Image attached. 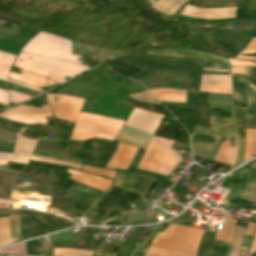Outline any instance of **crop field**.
I'll return each mask as SVG.
<instances>
[{
    "instance_id": "1",
    "label": "crop field",
    "mask_w": 256,
    "mask_h": 256,
    "mask_svg": "<svg viewBox=\"0 0 256 256\" xmlns=\"http://www.w3.org/2000/svg\"><path fill=\"white\" fill-rule=\"evenodd\" d=\"M236 221L224 219L222 231H217L215 239L231 241ZM204 231L172 225L157 234L150 246L196 253ZM216 230L206 229L197 256H209Z\"/></svg>"
},
{
    "instance_id": "2",
    "label": "crop field",
    "mask_w": 256,
    "mask_h": 256,
    "mask_svg": "<svg viewBox=\"0 0 256 256\" xmlns=\"http://www.w3.org/2000/svg\"><path fill=\"white\" fill-rule=\"evenodd\" d=\"M118 76L119 75L112 76L108 72L97 67L81 75L77 79L69 82L56 93L72 96L100 98L123 93L138 92L116 82ZM112 85L118 89H114Z\"/></svg>"
},
{
    "instance_id": "3",
    "label": "crop field",
    "mask_w": 256,
    "mask_h": 256,
    "mask_svg": "<svg viewBox=\"0 0 256 256\" xmlns=\"http://www.w3.org/2000/svg\"><path fill=\"white\" fill-rule=\"evenodd\" d=\"M28 57H32L33 59L30 60ZM28 66L32 68L29 69L27 68ZM14 67L42 75L59 83L65 81L64 77L72 78L73 76L88 69L87 67L64 61L42 58L23 53H20L18 56Z\"/></svg>"
},
{
    "instance_id": "4",
    "label": "crop field",
    "mask_w": 256,
    "mask_h": 256,
    "mask_svg": "<svg viewBox=\"0 0 256 256\" xmlns=\"http://www.w3.org/2000/svg\"><path fill=\"white\" fill-rule=\"evenodd\" d=\"M172 142L153 136L137 168L168 176L183 158L170 148Z\"/></svg>"
},
{
    "instance_id": "5",
    "label": "crop field",
    "mask_w": 256,
    "mask_h": 256,
    "mask_svg": "<svg viewBox=\"0 0 256 256\" xmlns=\"http://www.w3.org/2000/svg\"><path fill=\"white\" fill-rule=\"evenodd\" d=\"M22 52L70 61L81 64L77 56L71 55V42L45 32L40 31L27 45L21 49Z\"/></svg>"
},
{
    "instance_id": "6",
    "label": "crop field",
    "mask_w": 256,
    "mask_h": 256,
    "mask_svg": "<svg viewBox=\"0 0 256 256\" xmlns=\"http://www.w3.org/2000/svg\"><path fill=\"white\" fill-rule=\"evenodd\" d=\"M210 124L233 126L231 119L215 116H212ZM223 136L235 138L234 129L211 126L209 133L193 132V137L191 139L193 155L213 159Z\"/></svg>"
},
{
    "instance_id": "7",
    "label": "crop field",
    "mask_w": 256,
    "mask_h": 256,
    "mask_svg": "<svg viewBox=\"0 0 256 256\" xmlns=\"http://www.w3.org/2000/svg\"><path fill=\"white\" fill-rule=\"evenodd\" d=\"M246 78L232 76L234 124L237 140H245L246 122ZM255 130L246 129V146L244 161L252 158Z\"/></svg>"
},
{
    "instance_id": "8",
    "label": "crop field",
    "mask_w": 256,
    "mask_h": 256,
    "mask_svg": "<svg viewBox=\"0 0 256 256\" xmlns=\"http://www.w3.org/2000/svg\"><path fill=\"white\" fill-rule=\"evenodd\" d=\"M53 96H58L56 103L53 101ZM59 97H61V100H59ZM48 99L56 119L75 123L84 99L55 94H49Z\"/></svg>"
},
{
    "instance_id": "9",
    "label": "crop field",
    "mask_w": 256,
    "mask_h": 256,
    "mask_svg": "<svg viewBox=\"0 0 256 256\" xmlns=\"http://www.w3.org/2000/svg\"><path fill=\"white\" fill-rule=\"evenodd\" d=\"M0 117L30 125H33L34 123L45 125L46 117L52 116L48 106H42L41 109H38L34 107L21 105L16 108L8 109L0 113Z\"/></svg>"
},
{
    "instance_id": "10",
    "label": "crop field",
    "mask_w": 256,
    "mask_h": 256,
    "mask_svg": "<svg viewBox=\"0 0 256 256\" xmlns=\"http://www.w3.org/2000/svg\"><path fill=\"white\" fill-rule=\"evenodd\" d=\"M251 162L224 178L221 186L229 189L224 197L228 202L227 205H237L248 177Z\"/></svg>"
},
{
    "instance_id": "11",
    "label": "crop field",
    "mask_w": 256,
    "mask_h": 256,
    "mask_svg": "<svg viewBox=\"0 0 256 256\" xmlns=\"http://www.w3.org/2000/svg\"><path fill=\"white\" fill-rule=\"evenodd\" d=\"M147 54L152 55H164V56H175V57H187V58H193V57H199L204 58V67L208 68H219V69H227L228 60L225 58H220L215 55H211L208 53H202V52H194V51H186V50H180V49H163L158 51H150L146 52ZM205 68V69H208ZM214 69V70H219ZM228 72V69H227Z\"/></svg>"
},
{
    "instance_id": "12",
    "label": "crop field",
    "mask_w": 256,
    "mask_h": 256,
    "mask_svg": "<svg viewBox=\"0 0 256 256\" xmlns=\"http://www.w3.org/2000/svg\"><path fill=\"white\" fill-rule=\"evenodd\" d=\"M163 117L164 115L135 108L128 118L126 126L154 135Z\"/></svg>"
},
{
    "instance_id": "13",
    "label": "crop field",
    "mask_w": 256,
    "mask_h": 256,
    "mask_svg": "<svg viewBox=\"0 0 256 256\" xmlns=\"http://www.w3.org/2000/svg\"><path fill=\"white\" fill-rule=\"evenodd\" d=\"M142 195L134 194L125 190H122L120 188L111 186L110 189L105 192L104 194L98 196L95 203L91 206V208L95 210H99L102 208H105L103 204L99 203L98 201L107 204V205H113L118 206L122 203L130 204L132 205L129 200L132 202H137L138 200L136 198H141ZM129 199V200H128Z\"/></svg>"
},
{
    "instance_id": "14",
    "label": "crop field",
    "mask_w": 256,
    "mask_h": 256,
    "mask_svg": "<svg viewBox=\"0 0 256 256\" xmlns=\"http://www.w3.org/2000/svg\"><path fill=\"white\" fill-rule=\"evenodd\" d=\"M153 181V178L137 174L119 172L114 185L144 195Z\"/></svg>"
},
{
    "instance_id": "15",
    "label": "crop field",
    "mask_w": 256,
    "mask_h": 256,
    "mask_svg": "<svg viewBox=\"0 0 256 256\" xmlns=\"http://www.w3.org/2000/svg\"><path fill=\"white\" fill-rule=\"evenodd\" d=\"M236 7L219 9H198L187 5L182 15L202 19H223L235 17Z\"/></svg>"
},
{
    "instance_id": "16",
    "label": "crop field",
    "mask_w": 256,
    "mask_h": 256,
    "mask_svg": "<svg viewBox=\"0 0 256 256\" xmlns=\"http://www.w3.org/2000/svg\"><path fill=\"white\" fill-rule=\"evenodd\" d=\"M199 91L230 94L229 75H202Z\"/></svg>"
},
{
    "instance_id": "17",
    "label": "crop field",
    "mask_w": 256,
    "mask_h": 256,
    "mask_svg": "<svg viewBox=\"0 0 256 256\" xmlns=\"http://www.w3.org/2000/svg\"><path fill=\"white\" fill-rule=\"evenodd\" d=\"M151 138L152 135L124 126L120 133L115 137L114 141L146 149Z\"/></svg>"
},
{
    "instance_id": "18",
    "label": "crop field",
    "mask_w": 256,
    "mask_h": 256,
    "mask_svg": "<svg viewBox=\"0 0 256 256\" xmlns=\"http://www.w3.org/2000/svg\"><path fill=\"white\" fill-rule=\"evenodd\" d=\"M31 160L40 161V162H47V163H54V164H61V165H67V166H71L73 168H76L78 170H80V168L82 166V164L70 163V162H65V161H60V160H56V159L40 157V156H35V155L32 156ZM82 171L92 173V174L102 175V176L109 177V178H112V179L114 178L115 174L117 173V172H113V171H110V170H107V169L92 167V166H87V165H84Z\"/></svg>"
},
{
    "instance_id": "19",
    "label": "crop field",
    "mask_w": 256,
    "mask_h": 256,
    "mask_svg": "<svg viewBox=\"0 0 256 256\" xmlns=\"http://www.w3.org/2000/svg\"><path fill=\"white\" fill-rule=\"evenodd\" d=\"M37 141L16 137L12 162L27 164Z\"/></svg>"
},
{
    "instance_id": "20",
    "label": "crop field",
    "mask_w": 256,
    "mask_h": 256,
    "mask_svg": "<svg viewBox=\"0 0 256 256\" xmlns=\"http://www.w3.org/2000/svg\"><path fill=\"white\" fill-rule=\"evenodd\" d=\"M247 102L249 106L246 128L256 129V87L248 81ZM256 156V134L253 157Z\"/></svg>"
},
{
    "instance_id": "21",
    "label": "crop field",
    "mask_w": 256,
    "mask_h": 256,
    "mask_svg": "<svg viewBox=\"0 0 256 256\" xmlns=\"http://www.w3.org/2000/svg\"><path fill=\"white\" fill-rule=\"evenodd\" d=\"M151 92L158 101L185 103V90L152 89Z\"/></svg>"
},
{
    "instance_id": "22",
    "label": "crop field",
    "mask_w": 256,
    "mask_h": 256,
    "mask_svg": "<svg viewBox=\"0 0 256 256\" xmlns=\"http://www.w3.org/2000/svg\"><path fill=\"white\" fill-rule=\"evenodd\" d=\"M187 0H159L151 8L159 13L172 17L177 14Z\"/></svg>"
},
{
    "instance_id": "23",
    "label": "crop field",
    "mask_w": 256,
    "mask_h": 256,
    "mask_svg": "<svg viewBox=\"0 0 256 256\" xmlns=\"http://www.w3.org/2000/svg\"><path fill=\"white\" fill-rule=\"evenodd\" d=\"M20 73L22 75L11 73L9 78L20 81V82H23L25 84H28V85H31V86H34V87H37V88H41V87L49 86V85H52V84H56L55 82H53L51 80L46 81L45 78H41V77H38V76H35V75H32V74H28V73H25V72H22V71H20ZM47 83H49V85H47Z\"/></svg>"
},
{
    "instance_id": "24",
    "label": "crop field",
    "mask_w": 256,
    "mask_h": 256,
    "mask_svg": "<svg viewBox=\"0 0 256 256\" xmlns=\"http://www.w3.org/2000/svg\"><path fill=\"white\" fill-rule=\"evenodd\" d=\"M15 57L16 56L0 52V79L11 82L13 84L19 85V86L27 88V89L41 91V90L34 89V88L28 87L26 85H23V84H20V83H17V82L7 79V76L9 75V72H10V67H11Z\"/></svg>"
},
{
    "instance_id": "25",
    "label": "crop field",
    "mask_w": 256,
    "mask_h": 256,
    "mask_svg": "<svg viewBox=\"0 0 256 256\" xmlns=\"http://www.w3.org/2000/svg\"><path fill=\"white\" fill-rule=\"evenodd\" d=\"M246 185L256 187V160H254L252 163L249 178ZM248 186L245 187L242 199H245L256 205V188Z\"/></svg>"
},
{
    "instance_id": "26",
    "label": "crop field",
    "mask_w": 256,
    "mask_h": 256,
    "mask_svg": "<svg viewBox=\"0 0 256 256\" xmlns=\"http://www.w3.org/2000/svg\"><path fill=\"white\" fill-rule=\"evenodd\" d=\"M235 153L236 147H231L230 142L225 141L221 144L214 160L232 165Z\"/></svg>"
},
{
    "instance_id": "27",
    "label": "crop field",
    "mask_w": 256,
    "mask_h": 256,
    "mask_svg": "<svg viewBox=\"0 0 256 256\" xmlns=\"http://www.w3.org/2000/svg\"><path fill=\"white\" fill-rule=\"evenodd\" d=\"M9 227L12 243L21 241L20 216L9 215Z\"/></svg>"
},
{
    "instance_id": "28",
    "label": "crop field",
    "mask_w": 256,
    "mask_h": 256,
    "mask_svg": "<svg viewBox=\"0 0 256 256\" xmlns=\"http://www.w3.org/2000/svg\"><path fill=\"white\" fill-rule=\"evenodd\" d=\"M145 256H196V254L149 247Z\"/></svg>"
},
{
    "instance_id": "29",
    "label": "crop field",
    "mask_w": 256,
    "mask_h": 256,
    "mask_svg": "<svg viewBox=\"0 0 256 256\" xmlns=\"http://www.w3.org/2000/svg\"><path fill=\"white\" fill-rule=\"evenodd\" d=\"M120 244L117 243H101L95 252V256H115Z\"/></svg>"
},
{
    "instance_id": "30",
    "label": "crop field",
    "mask_w": 256,
    "mask_h": 256,
    "mask_svg": "<svg viewBox=\"0 0 256 256\" xmlns=\"http://www.w3.org/2000/svg\"><path fill=\"white\" fill-rule=\"evenodd\" d=\"M244 228L245 227H242V226H237L236 227V231H235V234H234L232 246L230 248L229 256H238V250L240 248Z\"/></svg>"
},
{
    "instance_id": "31",
    "label": "crop field",
    "mask_w": 256,
    "mask_h": 256,
    "mask_svg": "<svg viewBox=\"0 0 256 256\" xmlns=\"http://www.w3.org/2000/svg\"><path fill=\"white\" fill-rule=\"evenodd\" d=\"M232 242L215 240L211 256H228Z\"/></svg>"
},
{
    "instance_id": "32",
    "label": "crop field",
    "mask_w": 256,
    "mask_h": 256,
    "mask_svg": "<svg viewBox=\"0 0 256 256\" xmlns=\"http://www.w3.org/2000/svg\"><path fill=\"white\" fill-rule=\"evenodd\" d=\"M37 243L39 255L53 256V247L50 236L37 239ZM40 246L41 248L39 249ZM44 251H47V253H44Z\"/></svg>"
},
{
    "instance_id": "33",
    "label": "crop field",
    "mask_w": 256,
    "mask_h": 256,
    "mask_svg": "<svg viewBox=\"0 0 256 256\" xmlns=\"http://www.w3.org/2000/svg\"><path fill=\"white\" fill-rule=\"evenodd\" d=\"M9 95H10V102H13V103H17L19 101L31 98V97H27V96L22 97L23 95L20 96L19 94H15V93H11V92H9ZM0 103L3 104V105L8 104V93H7V91L0 90Z\"/></svg>"
},
{
    "instance_id": "34",
    "label": "crop field",
    "mask_w": 256,
    "mask_h": 256,
    "mask_svg": "<svg viewBox=\"0 0 256 256\" xmlns=\"http://www.w3.org/2000/svg\"><path fill=\"white\" fill-rule=\"evenodd\" d=\"M130 97L137 101L159 105L149 91H142L141 93L130 95Z\"/></svg>"
},
{
    "instance_id": "35",
    "label": "crop field",
    "mask_w": 256,
    "mask_h": 256,
    "mask_svg": "<svg viewBox=\"0 0 256 256\" xmlns=\"http://www.w3.org/2000/svg\"><path fill=\"white\" fill-rule=\"evenodd\" d=\"M92 253L93 252H90V251L54 249V256H79V255L91 256Z\"/></svg>"
},
{
    "instance_id": "36",
    "label": "crop field",
    "mask_w": 256,
    "mask_h": 256,
    "mask_svg": "<svg viewBox=\"0 0 256 256\" xmlns=\"http://www.w3.org/2000/svg\"><path fill=\"white\" fill-rule=\"evenodd\" d=\"M51 237L53 242H75L70 230L52 235Z\"/></svg>"
},
{
    "instance_id": "37",
    "label": "crop field",
    "mask_w": 256,
    "mask_h": 256,
    "mask_svg": "<svg viewBox=\"0 0 256 256\" xmlns=\"http://www.w3.org/2000/svg\"><path fill=\"white\" fill-rule=\"evenodd\" d=\"M186 24L190 25V26H196V27H211V28L234 29V25H231L229 23H223V24H199V23H189V22H186Z\"/></svg>"
},
{
    "instance_id": "38",
    "label": "crop field",
    "mask_w": 256,
    "mask_h": 256,
    "mask_svg": "<svg viewBox=\"0 0 256 256\" xmlns=\"http://www.w3.org/2000/svg\"><path fill=\"white\" fill-rule=\"evenodd\" d=\"M244 146H245V141H238V153H237L235 165L233 166V168L243 163Z\"/></svg>"
},
{
    "instance_id": "39",
    "label": "crop field",
    "mask_w": 256,
    "mask_h": 256,
    "mask_svg": "<svg viewBox=\"0 0 256 256\" xmlns=\"http://www.w3.org/2000/svg\"><path fill=\"white\" fill-rule=\"evenodd\" d=\"M154 236H150L138 249L137 251L134 253L133 256H143L147 247L149 246V244L151 243V241L153 240Z\"/></svg>"
},
{
    "instance_id": "40",
    "label": "crop field",
    "mask_w": 256,
    "mask_h": 256,
    "mask_svg": "<svg viewBox=\"0 0 256 256\" xmlns=\"http://www.w3.org/2000/svg\"><path fill=\"white\" fill-rule=\"evenodd\" d=\"M256 53V39L253 38L240 54Z\"/></svg>"
},
{
    "instance_id": "41",
    "label": "crop field",
    "mask_w": 256,
    "mask_h": 256,
    "mask_svg": "<svg viewBox=\"0 0 256 256\" xmlns=\"http://www.w3.org/2000/svg\"><path fill=\"white\" fill-rule=\"evenodd\" d=\"M16 135L0 131V141L14 143Z\"/></svg>"
},
{
    "instance_id": "42",
    "label": "crop field",
    "mask_w": 256,
    "mask_h": 256,
    "mask_svg": "<svg viewBox=\"0 0 256 256\" xmlns=\"http://www.w3.org/2000/svg\"><path fill=\"white\" fill-rule=\"evenodd\" d=\"M171 148L179 152L181 155L184 153L183 150L190 152L189 146L175 143V142L173 143Z\"/></svg>"
},
{
    "instance_id": "43",
    "label": "crop field",
    "mask_w": 256,
    "mask_h": 256,
    "mask_svg": "<svg viewBox=\"0 0 256 256\" xmlns=\"http://www.w3.org/2000/svg\"><path fill=\"white\" fill-rule=\"evenodd\" d=\"M230 66H256L255 63H249L244 61L232 60L229 59Z\"/></svg>"
},
{
    "instance_id": "44",
    "label": "crop field",
    "mask_w": 256,
    "mask_h": 256,
    "mask_svg": "<svg viewBox=\"0 0 256 256\" xmlns=\"http://www.w3.org/2000/svg\"><path fill=\"white\" fill-rule=\"evenodd\" d=\"M14 144L0 142V151L13 152Z\"/></svg>"
},
{
    "instance_id": "45",
    "label": "crop field",
    "mask_w": 256,
    "mask_h": 256,
    "mask_svg": "<svg viewBox=\"0 0 256 256\" xmlns=\"http://www.w3.org/2000/svg\"><path fill=\"white\" fill-rule=\"evenodd\" d=\"M12 154L0 153V165L7 164V161H11Z\"/></svg>"
},
{
    "instance_id": "46",
    "label": "crop field",
    "mask_w": 256,
    "mask_h": 256,
    "mask_svg": "<svg viewBox=\"0 0 256 256\" xmlns=\"http://www.w3.org/2000/svg\"><path fill=\"white\" fill-rule=\"evenodd\" d=\"M34 154H36V155H43V156H49V157H53V158H57V159H62V160H66V161H71V162L82 163V160H77V159H69V158L57 157V156H52V155H47V154H42V153H37V152H35Z\"/></svg>"
},
{
    "instance_id": "47",
    "label": "crop field",
    "mask_w": 256,
    "mask_h": 256,
    "mask_svg": "<svg viewBox=\"0 0 256 256\" xmlns=\"http://www.w3.org/2000/svg\"><path fill=\"white\" fill-rule=\"evenodd\" d=\"M15 252L16 254H26V249H25V244H19V245H15Z\"/></svg>"
},
{
    "instance_id": "48",
    "label": "crop field",
    "mask_w": 256,
    "mask_h": 256,
    "mask_svg": "<svg viewBox=\"0 0 256 256\" xmlns=\"http://www.w3.org/2000/svg\"><path fill=\"white\" fill-rule=\"evenodd\" d=\"M245 67L231 68V74H244Z\"/></svg>"
},
{
    "instance_id": "49",
    "label": "crop field",
    "mask_w": 256,
    "mask_h": 256,
    "mask_svg": "<svg viewBox=\"0 0 256 256\" xmlns=\"http://www.w3.org/2000/svg\"><path fill=\"white\" fill-rule=\"evenodd\" d=\"M255 225L256 224L249 222V225H248V228H247L245 234L252 235Z\"/></svg>"
},
{
    "instance_id": "50",
    "label": "crop field",
    "mask_w": 256,
    "mask_h": 256,
    "mask_svg": "<svg viewBox=\"0 0 256 256\" xmlns=\"http://www.w3.org/2000/svg\"><path fill=\"white\" fill-rule=\"evenodd\" d=\"M253 242H252V245H251V248H253L255 245H256V231H255V234H254V237H253ZM256 251V248L253 249L252 251H250V253Z\"/></svg>"
},
{
    "instance_id": "51",
    "label": "crop field",
    "mask_w": 256,
    "mask_h": 256,
    "mask_svg": "<svg viewBox=\"0 0 256 256\" xmlns=\"http://www.w3.org/2000/svg\"><path fill=\"white\" fill-rule=\"evenodd\" d=\"M237 58H241V59H250V60L256 61V58H255V57H248V56H241V55H238Z\"/></svg>"
},
{
    "instance_id": "52",
    "label": "crop field",
    "mask_w": 256,
    "mask_h": 256,
    "mask_svg": "<svg viewBox=\"0 0 256 256\" xmlns=\"http://www.w3.org/2000/svg\"><path fill=\"white\" fill-rule=\"evenodd\" d=\"M9 203H10V201L1 200V199H0V204H2V205H7V206H9ZM0 207H1V206H0Z\"/></svg>"
},
{
    "instance_id": "53",
    "label": "crop field",
    "mask_w": 256,
    "mask_h": 256,
    "mask_svg": "<svg viewBox=\"0 0 256 256\" xmlns=\"http://www.w3.org/2000/svg\"><path fill=\"white\" fill-rule=\"evenodd\" d=\"M151 1V3L153 4L155 1H157V0H150Z\"/></svg>"
}]
</instances>
